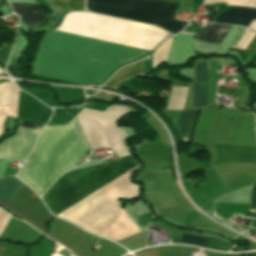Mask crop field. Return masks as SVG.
I'll return each mask as SVG.
<instances>
[{"instance_id":"obj_12","label":"crop field","mask_w":256,"mask_h":256,"mask_svg":"<svg viewBox=\"0 0 256 256\" xmlns=\"http://www.w3.org/2000/svg\"><path fill=\"white\" fill-rule=\"evenodd\" d=\"M195 110L196 109L180 112L176 126H177L182 138H187V136H188L189 126L192 121Z\"/></svg>"},{"instance_id":"obj_13","label":"crop field","mask_w":256,"mask_h":256,"mask_svg":"<svg viewBox=\"0 0 256 256\" xmlns=\"http://www.w3.org/2000/svg\"><path fill=\"white\" fill-rule=\"evenodd\" d=\"M51 3L60 11L82 10L84 6V0H53Z\"/></svg>"},{"instance_id":"obj_8","label":"crop field","mask_w":256,"mask_h":256,"mask_svg":"<svg viewBox=\"0 0 256 256\" xmlns=\"http://www.w3.org/2000/svg\"><path fill=\"white\" fill-rule=\"evenodd\" d=\"M229 28L227 25L207 24L204 31H199L195 38L220 44Z\"/></svg>"},{"instance_id":"obj_17","label":"crop field","mask_w":256,"mask_h":256,"mask_svg":"<svg viewBox=\"0 0 256 256\" xmlns=\"http://www.w3.org/2000/svg\"><path fill=\"white\" fill-rule=\"evenodd\" d=\"M24 49L15 48L8 63L16 64L17 60L20 59Z\"/></svg>"},{"instance_id":"obj_1","label":"crop field","mask_w":256,"mask_h":256,"mask_svg":"<svg viewBox=\"0 0 256 256\" xmlns=\"http://www.w3.org/2000/svg\"><path fill=\"white\" fill-rule=\"evenodd\" d=\"M56 30L151 50L166 33L154 26L89 12L66 15ZM53 30L40 43L33 74L77 84L97 83L149 51Z\"/></svg>"},{"instance_id":"obj_15","label":"crop field","mask_w":256,"mask_h":256,"mask_svg":"<svg viewBox=\"0 0 256 256\" xmlns=\"http://www.w3.org/2000/svg\"><path fill=\"white\" fill-rule=\"evenodd\" d=\"M195 82H207L206 62H199L195 66Z\"/></svg>"},{"instance_id":"obj_18","label":"crop field","mask_w":256,"mask_h":256,"mask_svg":"<svg viewBox=\"0 0 256 256\" xmlns=\"http://www.w3.org/2000/svg\"><path fill=\"white\" fill-rule=\"evenodd\" d=\"M11 48L12 47H4V48L0 49V58H2L5 62H7V60H8Z\"/></svg>"},{"instance_id":"obj_21","label":"crop field","mask_w":256,"mask_h":256,"mask_svg":"<svg viewBox=\"0 0 256 256\" xmlns=\"http://www.w3.org/2000/svg\"><path fill=\"white\" fill-rule=\"evenodd\" d=\"M6 117L0 116V135L3 133V122L5 121Z\"/></svg>"},{"instance_id":"obj_3","label":"crop field","mask_w":256,"mask_h":256,"mask_svg":"<svg viewBox=\"0 0 256 256\" xmlns=\"http://www.w3.org/2000/svg\"><path fill=\"white\" fill-rule=\"evenodd\" d=\"M135 166L136 162L129 156L68 172L54 183L42 200L56 216Z\"/></svg>"},{"instance_id":"obj_25","label":"crop field","mask_w":256,"mask_h":256,"mask_svg":"<svg viewBox=\"0 0 256 256\" xmlns=\"http://www.w3.org/2000/svg\"><path fill=\"white\" fill-rule=\"evenodd\" d=\"M71 256H74V255H71Z\"/></svg>"},{"instance_id":"obj_16","label":"crop field","mask_w":256,"mask_h":256,"mask_svg":"<svg viewBox=\"0 0 256 256\" xmlns=\"http://www.w3.org/2000/svg\"><path fill=\"white\" fill-rule=\"evenodd\" d=\"M249 211L256 212V181L251 190L250 203H249Z\"/></svg>"},{"instance_id":"obj_6","label":"crop field","mask_w":256,"mask_h":256,"mask_svg":"<svg viewBox=\"0 0 256 256\" xmlns=\"http://www.w3.org/2000/svg\"><path fill=\"white\" fill-rule=\"evenodd\" d=\"M13 12L20 16V21L35 28L44 24L45 15L40 7L33 4L10 3Z\"/></svg>"},{"instance_id":"obj_24","label":"crop field","mask_w":256,"mask_h":256,"mask_svg":"<svg viewBox=\"0 0 256 256\" xmlns=\"http://www.w3.org/2000/svg\"><path fill=\"white\" fill-rule=\"evenodd\" d=\"M4 0H0V3H2Z\"/></svg>"},{"instance_id":"obj_9","label":"crop field","mask_w":256,"mask_h":256,"mask_svg":"<svg viewBox=\"0 0 256 256\" xmlns=\"http://www.w3.org/2000/svg\"><path fill=\"white\" fill-rule=\"evenodd\" d=\"M143 60L118 71L104 86L115 88L122 80L129 76L142 73Z\"/></svg>"},{"instance_id":"obj_7","label":"crop field","mask_w":256,"mask_h":256,"mask_svg":"<svg viewBox=\"0 0 256 256\" xmlns=\"http://www.w3.org/2000/svg\"><path fill=\"white\" fill-rule=\"evenodd\" d=\"M256 18V9L232 7L222 12L216 22L226 24H239L247 27L252 19Z\"/></svg>"},{"instance_id":"obj_14","label":"crop field","mask_w":256,"mask_h":256,"mask_svg":"<svg viewBox=\"0 0 256 256\" xmlns=\"http://www.w3.org/2000/svg\"><path fill=\"white\" fill-rule=\"evenodd\" d=\"M208 239L182 233L180 243L193 244L206 248Z\"/></svg>"},{"instance_id":"obj_2","label":"crop field","mask_w":256,"mask_h":256,"mask_svg":"<svg viewBox=\"0 0 256 256\" xmlns=\"http://www.w3.org/2000/svg\"><path fill=\"white\" fill-rule=\"evenodd\" d=\"M88 149L75 117L61 126H45L18 177L39 196Z\"/></svg>"},{"instance_id":"obj_23","label":"crop field","mask_w":256,"mask_h":256,"mask_svg":"<svg viewBox=\"0 0 256 256\" xmlns=\"http://www.w3.org/2000/svg\"><path fill=\"white\" fill-rule=\"evenodd\" d=\"M0 73L4 74L3 71L0 69Z\"/></svg>"},{"instance_id":"obj_19","label":"crop field","mask_w":256,"mask_h":256,"mask_svg":"<svg viewBox=\"0 0 256 256\" xmlns=\"http://www.w3.org/2000/svg\"><path fill=\"white\" fill-rule=\"evenodd\" d=\"M20 126L41 129L43 126L19 120Z\"/></svg>"},{"instance_id":"obj_4","label":"crop field","mask_w":256,"mask_h":256,"mask_svg":"<svg viewBox=\"0 0 256 256\" xmlns=\"http://www.w3.org/2000/svg\"><path fill=\"white\" fill-rule=\"evenodd\" d=\"M178 5L151 0H87V9L135 21L156 24L170 32H179L186 24L170 19Z\"/></svg>"},{"instance_id":"obj_22","label":"crop field","mask_w":256,"mask_h":256,"mask_svg":"<svg viewBox=\"0 0 256 256\" xmlns=\"http://www.w3.org/2000/svg\"><path fill=\"white\" fill-rule=\"evenodd\" d=\"M163 1L172 2V3H176V4H178V2H179V0H163Z\"/></svg>"},{"instance_id":"obj_20","label":"crop field","mask_w":256,"mask_h":256,"mask_svg":"<svg viewBox=\"0 0 256 256\" xmlns=\"http://www.w3.org/2000/svg\"><path fill=\"white\" fill-rule=\"evenodd\" d=\"M247 50H255L256 51V37L254 38V40L252 41L250 46L247 48Z\"/></svg>"},{"instance_id":"obj_10","label":"crop field","mask_w":256,"mask_h":256,"mask_svg":"<svg viewBox=\"0 0 256 256\" xmlns=\"http://www.w3.org/2000/svg\"><path fill=\"white\" fill-rule=\"evenodd\" d=\"M19 181L12 176L3 177L0 179V199L6 204L11 195L18 186Z\"/></svg>"},{"instance_id":"obj_11","label":"crop field","mask_w":256,"mask_h":256,"mask_svg":"<svg viewBox=\"0 0 256 256\" xmlns=\"http://www.w3.org/2000/svg\"><path fill=\"white\" fill-rule=\"evenodd\" d=\"M207 105V83H193V108Z\"/></svg>"},{"instance_id":"obj_5","label":"crop field","mask_w":256,"mask_h":256,"mask_svg":"<svg viewBox=\"0 0 256 256\" xmlns=\"http://www.w3.org/2000/svg\"><path fill=\"white\" fill-rule=\"evenodd\" d=\"M40 130L19 127L17 133L0 144V157L25 160Z\"/></svg>"}]
</instances>
